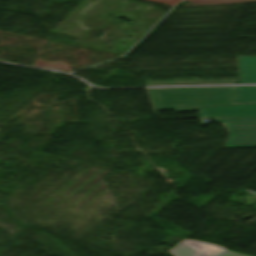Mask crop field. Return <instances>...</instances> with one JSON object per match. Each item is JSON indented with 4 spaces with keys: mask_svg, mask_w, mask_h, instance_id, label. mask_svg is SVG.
<instances>
[{
    "mask_svg": "<svg viewBox=\"0 0 256 256\" xmlns=\"http://www.w3.org/2000/svg\"><path fill=\"white\" fill-rule=\"evenodd\" d=\"M224 123L229 137L225 147H256V119H212Z\"/></svg>",
    "mask_w": 256,
    "mask_h": 256,
    "instance_id": "ac0d7876",
    "label": "crop field"
},
{
    "mask_svg": "<svg viewBox=\"0 0 256 256\" xmlns=\"http://www.w3.org/2000/svg\"><path fill=\"white\" fill-rule=\"evenodd\" d=\"M256 103V86L236 87L235 104Z\"/></svg>",
    "mask_w": 256,
    "mask_h": 256,
    "instance_id": "dd49c442",
    "label": "crop field"
},
{
    "mask_svg": "<svg viewBox=\"0 0 256 256\" xmlns=\"http://www.w3.org/2000/svg\"><path fill=\"white\" fill-rule=\"evenodd\" d=\"M149 90L156 110L233 104V87Z\"/></svg>",
    "mask_w": 256,
    "mask_h": 256,
    "instance_id": "8a807250",
    "label": "crop field"
},
{
    "mask_svg": "<svg viewBox=\"0 0 256 256\" xmlns=\"http://www.w3.org/2000/svg\"><path fill=\"white\" fill-rule=\"evenodd\" d=\"M169 252L172 253L174 256H196L199 253V251H197L196 249L192 248L191 246H189L184 242L176 246ZM216 256H247V255L224 250L219 254H217Z\"/></svg>",
    "mask_w": 256,
    "mask_h": 256,
    "instance_id": "f4fd0767",
    "label": "crop field"
},
{
    "mask_svg": "<svg viewBox=\"0 0 256 256\" xmlns=\"http://www.w3.org/2000/svg\"><path fill=\"white\" fill-rule=\"evenodd\" d=\"M241 84H256V56H239Z\"/></svg>",
    "mask_w": 256,
    "mask_h": 256,
    "instance_id": "412701ff",
    "label": "crop field"
},
{
    "mask_svg": "<svg viewBox=\"0 0 256 256\" xmlns=\"http://www.w3.org/2000/svg\"><path fill=\"white\" fill-rule=\"evenodd\" d=\"M200 110L201 117L208 118H256V105H227L177 109L176 112Z\"/></svg>",
    "mask_w": 256,
    "mask_h": 256,
    "instance_id": "34b2d1b8",
    "label": "crop field"
}]
</instances>
